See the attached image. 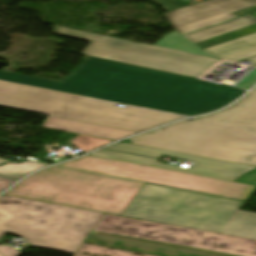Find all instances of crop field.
Here are the masks:
<instances>
[{
	"label": "crop field",
	"instance_id": "obj_15",
	"mask_svg": "<svg viewBox=\"0 0 256 256\" xmlns=\"http://www.w3.org/2000/svg\"><path fill=\"white\" fill-rule=\"evenodd\" d=\"M222 233L256 239V213L239 210Z\"/></svg>",
	"mask_w": 256,
	"mask_h": 256
},
{
	"label": "crop field",
	"instance_id": "obj_27",
	"mask_svg": "<svg viewBox=\"0 0 256 256\" xmlns=\"http://www.w3.org/2000/svg\"><path fill=\"white\" fill-rule=\"evenodd\" d=\"M28 159H30V158H28ZM32 160V159H31ZM36 161H38V160H36Z\"/></svg>",
	"mask_w": 256,
	"mask_h": 256
},
{
	"label": "crop field",
	"instance_id": "obj_22",
	"mask_svg": "<svg viewBox=\"0 0 256 256\" xmlns=\"http://www.w3.org/2000/svg\"><path fill=\"white\" fill-rule=\"evenodd\" d=\"M0 253L3 256H19L21 253L15 249L6 246H0Z\"/></svg>",
	"mask_w": 256,
	"mask_h": 256
},
{
	"label": "crop field",
	"instance_id": "obj_18",
	"mask_svg": "<svg viewBox=\"0 0 256 256\" xmlns=\"http://www.w3.org/2000/svg\"><path fill=\"white\" fill-rule=\"evenodd\" d=\"M110 142H112V141L97 139V138H92V137H87V136H81V137L71 141V144H73L76 147L80 148L81 150L87 152L89 150H92L94 148H97L99 146L105 145Z\"/></svg>",
	"mask_w": 256,
	"mask_h": 256
},
{
	"label": "crop field",
	"instance_id": "obj_4",
	"mask_svg": "<svg viewBox=\"0 0 256 256\" xmlns=\"http://www.w3.org/2000/svg\"><path fill=\"white\" fill-rule=\"evenodd\" d=\"M146 184L52 166L32 174L6 195L121 215Z\"/></svg>",
	"mask_w": 256,
	"mask_h": 256
},
{
	"label": "crop field",
	"instance_id": "obj_24",
	"mask_svg": "<svg viewBox=\"0 0 256 256\" xmlns=\"http://www.w3.org/2000/svg\"><path fill=\"white\" fill-rule=\"evenodd\" d=\"M21 162H22V161L17 160V161H15V162H13V163H10V162H8V161H6V160L0 159V171H1V170H4V169H6V168H9V167H11V166H13V165H16V164H18V163H21Z\"/></svg>",
	"mask_w": 256,
	"mask_h": 256
},
{
	"label": "crop field",
	"instance_id": "obj_11",
	"mask_svg": "<svg viewBox=\"0 0 256 256\" xmlns=\"http://www.w3.org/2000/svg\"><path fill=\"white\" fill-rule=\"evenodd\" d=\"M106 148L116 149L120 151L140 154V155L153 156L157 158H159L162 155H167V156H172L176 159L194 162V165L189 168L178 167V166H173L165 163L156 162L157 160L155 159L125 154V153L116 152V151L103 150V149L91 155L110 158V159H116L121 161H127L132 163H138V164H143L148 166H154L159 168H165L170 170H176V171H181L186 173H192L197 175H203L208 177H214V178L230 180V181H233L237 179L239 176H241L242 174L255 169V167L217 161V160H212V159H207L202 157H196V156H191V155H186L181 153H175V152H170L165 150L144 147V146L127 144L122 142H118Z\"/></svg>",
	"mask_w": 256,
	"mask_h": 256
},
{
	"label": "crop field",
	"instance_id": "obj_23",
	"mask_svg": "<svg viewBox=\"0 0 256 256\" xmlns=\"http://www.w3.org/2000/svg\"><path fill=\"white\" fill-rule=\"evenodd\" d=\"M13 181H10L6 178L0 177V193L5 190L6 188H8L10 185H12Z\"/></svg>",
	"mask_w": 256,
	"mask_h": 256
},
{
	"label": "crop field",
	"instance_id": "obj_28",
	"mask_svg": "<svg viewBox=\"0 0 256 256\" xmlns=\"http://www.w3.org/2000/svg\"><path fill=\"white\" fill-rule=\"evenodd\" d=\"M0 256H2V255L0 254Z\"/></svg>",
	"mask_w": 256,
	"mask_h": 256
},
{
	"label": "crop field",
	"instance_id": "obj_17",
	"mask_svg": "<svg viewBox=\"0 0 256 256\" xmlns=\"http://www.w3.org/2000/svg\"><path fill=\"white\" fill-rule=\"evenodd\" d=\"M43 166H47V165L37 163V162L28 161V162H24L22 164H19L17 166H14L12 168L2 171V172H0V175L12 178L14 180H18L25 174H27L35 169H38L40 167H43Z\"/></svg>",
	"mask_w": 256,
	"mask_h": 256
},
{
	"label": "crop field",
	"instance_id": "obj_21",
	"mask_svg": "<svg viewBox=\"0 0 256 256\" xmlns=\"http://www.w3.org/2000/svg\"><path fill=\"white\" fill-rule=\"evenodd\" d=\"M236 182L250 184L256 186V170L242 176Z\"/></svg>",
	"mask_w": 256,
	"mask_h": 256
},
{
	"label": "crop field",
	"instance_id": "obj_20",
	"mask_svg": "<svg viewBox=\"0 0 256 256\" xmlns=\"http://www.w3.org/2000/svg\"><path fill=\"white\" fill-rule=\"evenodd\" d=\"M256 83V69L249 73L241 82L236 86L248 89Z\"/></svg>",
	"mask_w": 256,
	"mask_h": 256
},
{
	"label": "crop field",
	"instance_id": "obj_14",
	"mask_svg": "<svg viewBox=\"0 0 256 256\" xmlns=\"http://www.w3.org/2000/svg\"><path fill=\"white\" fill-rule=\"evenodd\" d=\"M256 23V19L252 18L251 16L247 15L245 17L235 19L226 23H222L210 28H206L194 33H190L187 35H184L186 38H188L193 43L199 42L202 40L210 39L252 24Z\"/></svg>",
	"mask_w": 256,
	"mask_h": 256
},
{
	"label": "crop field",
	"instance_id": "obj_2",
	"mask_svg": "<svg viewBox=\"0 0 256 256\" xmlns=\"http://www.w3.org/2000/svg\"><path fill=\"white\" fill-rule=\"evenodd\" d=\"M74 256H256V240L104 214Z\"/></svg>",
	"mask_w": 256,
	"mask_h": 256
},
{
	"label": "crop field",
	"instance_id": "obj_6",
	"mask_svg": "<svg viewBox=\"0 0 256 256\" xmlns=\"http://www.w3.org/2000/svg\"><path fill=\"white\" fill-rule=\"evenodd\" d=\"M102 215L3 195L0 238L8 232L35 247L75 254Z\"/></svg>",
	"mask_w": 256,
	"mask_h": 256
},
{
	"label": "crop field",
	"instance_id": "obj_29",
	"mask_svg": "<svg viewBox=\"0 0 256 256\" xmlns=\"http://www.w3.org/2000/svg\"><path fill=\"white\" fill-rule=\"evenodd\" d=\"M256 1V0H255Z\"/></svg>",
	"mask_w": 256,
	"mask_h": 256
},
{
	"label": "crop field",
	"instance_id": "obj_25",
	"mask_svg": "<svg viewBox=\"0 0 256 256\" xmlns=\"http://www.w3.org/2000/svg\"><path fill=\"white\" fill-rule=\"evenodd\" d=\"M255 11H256V7H251V8H248V9H245V10L233 13V14L241 17V16L247 15V14L255 12Z\"/></svg>",
	"mask_w": 256,
	"mask_h": 256
},
{
	"label": "crop field",
	"instance_id": "obj_1",
	"mask_svg": "<svg viewBox=\"0 0 256 256\" xmlns=\"http://www.w3.org/2000/svg\"><path fill=\"white\" fill-rule=\"evenodd\" d=\"M0 80L187 116L221 108L245 90L85 56L60 82L0 70Z\"/></svg>",
	"mask_w": 256,
	"mask_h": 256
},
{
	"label": "crop field",
	"instance_id": "obj_5",
	"mask_svg": "<svg viewBox=\"0 0 256 256\" xmlns=\"http://www.w3.org/2000/svg\"><path fill=\"white\" fill-rule=\"evenodd\" d=\"M0 82V106L141 132L184 118L158 111Z\"/></svg>",
	"mask_w": 256,
	"mask_h": 256
},
{
	"label": "crop field",
	"instance_id": "obj_12",
	"mask_svg": "<svg viewBox=\"0 0 256 256\" xmlns=\"http://www.w3.org/2000/svg\"><path fill=\"white\" fill-rule=\"evenodd\" d=\"M44 127L118 140L136 132L49 116Z\"/></svg>",
	"mask_w": 256,
	"mask_h": 256
},
{
	"label": "crop field",
	"instance_id": "obj_26",
	"mask_svg": "<svg viewBox=\"0 0 256 256\" xmlns=\"http://www.w3.org/2000/svg\"><path fill=\"white\" fill-rule=\"evenodd\" d=\"M247 61H251V62H253L254 64H253V66H255L256 67V58H253V59H249V60H247ZM243 62V61H242Z\"/></svg>",
	"mask_w": 256,
	"mask_h": 256
},
{
	"label": "crop field",
	"instance_id": "obj_3",
	"mask_svg": "<svg viewBox=\"0 0 256 256\" xmlns=\"http://www.w3.org/2000/svg\"><path fill=\"white\" fill-rule=\"evenodd\" d=\"M133 144L256 167V88L214 115L131 138Z\"/></svg>",
	"mask_w": 256,
	"mask_h": 256
},
{
	"label": "crop field",
	"instance_id": "obj_10",
	"mask_svg": "<svg viewBox=\"0 0 256 256\" xmlns=\"http://www.w3.org/2000/svg\"><path fill=\"white\" fill-rule=\"evenodd\" d=\"M256 5L248 0H208L165 13L176 29L154 45L216 58L182 35L238 18L231 13ZM218 59V58H216Z\"/></svg>",
	"mask_w": 256,
	"mask_h": 256
},
{
	"label": "crop field",
	"instance_id": "obj_13",
	"mask_svg": "<svg viewBox=\"0 0 256 256\" xmlns=\"http://www.w3.org/2000/svg\"><path fill=\"white\" fill-rule=\"evenodd\" d=\"M204 50L220 59L230 61L256 56V33Z\"/></svg>",
	"mask_w": 256,
	"mask_h": 256
},
{
	"label": "crop field",
	"instance_id": "obj_16",
	"mask_svg": "<svg viewBox=\"0 0 256 256\" xmlns=\"http://www.w3.org/2000/svg\"><path fill=\"white\" fill-rule=\"evenodd\" d=\"M255 32H256V24L246 27V28H243V29H240V30H237V31H234V32H231V33H228V34H225V35H222V36H219V37H216V38H213V39H210V40H207V41L195 43V44L197 46H199L200 48L204 49V48L211 47V46H214V45L226 42V41H230V40H233V39H236V38L248 35V34H252Z\"/></svg>",
	"mask_w": 256,
	"mask_h": 256
},
{
	"label": "crop field",
	"instance_id": "obj_19",
	"mask_svg": "<svg viewBox=\"0 0 256 256\" xmlns=\"http://www.w3.org/2000/svg\"><path fill=\"white\" fill-rule=\"evenodd\" d=\"M151 1L167 11L188 6L187 4L179 0H151Z\"/></svg>",
	"mask_w": 256,
	"mask_h": 256
},
{
	"label": "crop field",
	"instance_id": "obj_8",
	"mask_svg": "<svg viewBox=\"0 0 256 256\" xmlns=\"http://www.w3.org/2000/svg\"><path fill=\"white\" fill-rule=\"evenodd\" d=\"M53 33L90 41L83 55L167 71L199 78L222 60L185 52L131 43L107 36L90 34L62 27Z\"/></svg>",
	"mask_w": 256,
	"mask_h": 256
},
{
	"label": "crop field",
	"instance_id": "obj_7",
	"mask_svg": "<svg viewBox=\"0 0 256 256\" xmlns=\"http://www.w3.org/2000/svg\"><path fill=\"white\" fill-rule=\"evenodd\" d=\"M243 203L147 184L121 216L221 233Z\"/></svg>",
	"mask_w": 256,
	"mask_h": 256
},
{
	"label": "crop field",
	"instance_id": "obj_9",
	"mask_svg": "<svg viewBox=\"0 0 256 256\" xmlns=\"http://www.w3.org/2000/svg\"><path fill=\"white\" fill-rule=\"evenodd\" d=\"M60 166L244 201L254 186L87 155Z\"/></svg>",
	"mask_w": 256,
	"mask_h": 256
}]
</instances>
